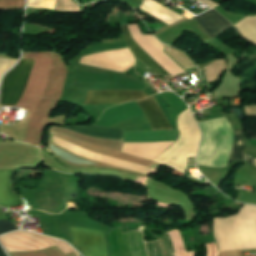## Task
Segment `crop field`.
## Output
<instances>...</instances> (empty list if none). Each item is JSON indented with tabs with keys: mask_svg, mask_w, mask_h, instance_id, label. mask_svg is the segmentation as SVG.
Wrapping results in <instances>:
<instances>
[{
	"mask_svg": "<svg viewBox=\"0 0 256 256\" xmlns=\"http://www.w3.org/2000/svg\"><path fill=\"white\" fill-rule=\"evenodd\" d=\"M35 60L22 59L3 77L0 105H23Z\"/></svg>",
	"mask_w": 256,
	"mask_h": 256,
	"instance_id": "crop-field-1",
	"label": "crop field"
},
{
	"mask_svg": "<svg viewBox=\"0 0 256 256\" xmlns=\"http://www.w3.org/2000/svg\"><path fill=\"white\" fill-rule=\"evenodd\" d=\"M138 104L146 115L153 130L172 129L154 96H150L144 101H139ZM67 128L74 130L78 133L91 135L99 138H113L123 140L122 129L103 128L96 127L94 125H89L85 127L67 126Z\"/></svg>",
	"mask_w": 256,
	"mask_h": 256,
	"instance_id": "crop-field-2",
	"label": "crop field"
},
{
	"mask_svg": "<svg viewBox=\"0 0 256 256\" xmlns=\"http://www.w3.org/2000/svg\"><path fill=\"white\" fill-rule=\"evenodd\" d=\"M71 229L74 244L87 256H107L102 232L74 227Z\"/></svg>",
	"mask_w": 256,
	"mask_h": 256,
	"instance_id": "crop-field-3",
	"label": "crop field"
},
{
	"mask_svg": "<svg viewBox=\"0 0 256 256\" xmlns=\"http://www.w3.org/2000/svg\"><path fill=\"white\" fill-rule=\"evenodd\" d=\"M146 97L144 91H88L85 104H122Z\"/></svg>",
	"mask_w": 256,
	"mask_h": 256,
	"instance_id": "crop-field-4",
	"label": "crop field"
},
{
	"mask_svg": "<svg viewBox=\"0 0 256 256\" xmlns=\"http://www.w3.org/2000/svg\"><path fill=\"white\" fill-rule=\"evenodd\" d=\"M15 170H0V206L10 207L23 205L20 196L12 192L11 177Z\"/></svg>",
	"mask_w": 256,
	"mask_h": 256,
	"instance_id": "crop-field-5",
	"label": "crop field"
},
{
	"mask_svg": "<svg viewBox=\"0 0 256 256\" xmlns=\"http://www.w3.org/2000/svg\"><path fill=\"white\" fill-rule=\"evenodd\" d=\"M213 38L218 35L223 29L231 26L221 15L210 9L196 17H194Z\"/></svg>",
	"mask_w": 256,
	"mask_h": 256,
	"instance_id": "crop-field-6",
	"label": "crop field"
},
{
	"mask_svg": "<svg viewBox=\"0 0 256 256\" xmlns=\"http://www.w3.org/2000/svg\"><path fill=\"white\" fill-rule=\"evenodd\" d=\"M123 31L125 40L136 58L150 67L152 70L159 74L169 75L156 61H154L142 48L141 46L132 38L131 33L129 31L128 25H124ZM185 73V72H184ZM170 76V75H169Z\"/></svg>",
	"mask_w": 256,
	"mask_h": 256,
	"instance_id": "crop-field-7",
	"label": "crop field"
},
{
	"mask_svg": "<svg viewBox=\"0 0 256 256\" xmlns=\"http://www.w3.org/2000/svg\"><path fill=\"white\" fill-rule=\"evenodd\" d=\"M244 149L245 141L240 129L232 130L229 163L237 159H242L256 166V159L245 154Z\"/></svg>",
	"mask_w": 256,
	"mask_h": 256,
	"instance_id": "crop-field-8",
	"label": "crop field"
},
{
	"mask_svg": "<svg viewBox=\"0 0 256 256\" xmlns=\"http://www.w3.org/2000/svg\"><path fill=\"white\" fill-rule=\"evenodd\" d=\"M19 229L10 220L0 221V234Z\"/></svg>",
	"mask_w": 256,
	"mask_h": 256,
	"instance_id": "crop-field-9",
	"label": "crop field"
},
{
	"mask_svg": "<svg viewBox=\"0 0 256 256\" xmlns=\"http://www.w3.org/2000/svg\"><path fill=\"white\" fill-rule=\"evenodd\" d=\"M0 256H6L1 248H0Z\"/></svg>",
	"mask_w": 256,
	"mask_h": 256,
	"instance_id": "crop-field-10",
	"label": "crop field"
}]
</instances>
